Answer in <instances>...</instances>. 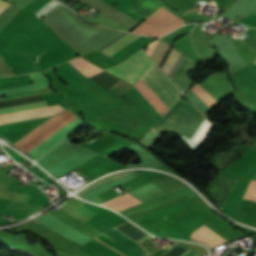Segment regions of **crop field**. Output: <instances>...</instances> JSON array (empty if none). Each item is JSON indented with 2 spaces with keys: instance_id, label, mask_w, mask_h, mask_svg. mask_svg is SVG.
<instances>
[{
  "instance_id": "8a807250",
  "label": "crop field",
  "mask_w": 256,
  "mask_h": 256,
  "mask_svg": "<svg viewBox=\"0 0 256 256\" xmlns=\"http://www.w3.org/2000/svg\"><path fill=\"white\" fill-rule=\"evenodd\" d=\"M183 104L178 101L154 126L156 129H160L164 123L177 111V109ZM206 117L195 108V106L185 103L173 117L160 129L162 132L176 131L182 133L188 139L195 136L202 124L205 122ZM212 125L206 120L201 129L198 131L193 141L201 143L205 135L209 131Z\"/></svg>"
},
{
  "instance_id": "ac0d7876",
  "label": "crop field",
  "mask_w": 256,
  "mask_h": 256,
  "mask_svg": "<svg viewBox=\"0 0 256 256\" xmlns=\"http://www.w3.org/2000/svg\"><path fill=\"white\" fill-rule=\"evenodd\" d=\"M149 70L155 75V77L164 85V87L178 100L182 94L174 87V85L161 73V71L152 63ZM146 70L142 76V80L146 85L155 93V95L164 103L169 109L176 100L171 94L162 86V84L153 76V74ZM135 85L139 92L148 100V102L157 110L162 116L168 110L163 103L154 95V93L145 85L142 80Z\"/></svg>"
},
{
  "instance_id": "34b2d1b8",
  "label": "crop field",
  "mask_w": 256,
  "mask_h": 256,
  "mask_svg": "<svg viewBox=\"0 0 256 256\" xmlns=\"http://www.w3.org/2000/svg\"><path fill=\"white\" fill-rule=\"evenodd\" d=\"M179 56H180V53H178L176 50L172 49L169 57L167 58L164 66L162 68L167 76H168L169 72L171 71L172 67L174 66V64L176 63ZM184 57L185 56L181 55L180 58L178 59L177 63L175 64L174 68L172 69L171 73L168 76L170 79L173 76V74L175 73V71L177 70L178 66L180 65V63L182 62ZM196 65H198V64L185 57V59L183 60V62L179 66L178 70L176 71V73L174 74V76L171 79L172 83L183 94L186 92V90L192 84L186 78Z\"/></svg>"
},
{
  "instance_id": "412701ff",
  "label": "crop field",
  "mask_w": 256,
  "mask_h": 256,
  "mask_svg": "<svg viewBox=\"0 0 256 256\" xmlns=\"http://www.w3.org/2000/svg\"><path fill=\"white\" fill-rule=\"evenodd\" d=\"M151 62L147 55L140 50L122 64L105 70L134 85Z\"/></svg>"
},
{
  "instance_id": "f4fd0767",
  "label": "crop field",
  "mask_w": 256,
  "mask_h": 256,
  "mask_svg": "<svg viewBox=\"0 0 256 256\" xmlns=\"http://www.w3.org/2000/svg\"><path fill=\"white\" fill-rule=\"evenodd\" d=\"M143 118L129 103L97 119L130 129Z\"/></svg>"
},
{
  "instance_id": "dd49c442",
  "label": "crop field",
  "mask_w": 256,
  "mask_h": 256,
  "mask_svg": "<svg viewBox=\"0 0 256 256\" xmlns=\"http://www.w3.org/2000/svg\"><path fill=\"white\" fill-rule=\"evenodd\" d=\"M75 117H77V116H75L70 111L67 112L65 115L60 117L58 120L53 122L51 125H49L45 129H43L41 132L36 134L34 137L29 139L27 142L22 144L19 148L28 153L33 148H35L37 145H39L41 142H43L45 139H47L49 136H51L53 133H55L57 130H59L64 125H66L68 122L73 120Z\"/></svg>"
},
{
  "instance_id": "e52e79f7",
  "label": "crop field",
  "mask_w": 256,
  "mask_h": 256,
  "mask_svg": "<svg viewBox=\"0 0 256 256\" xmlns=\"http://www.w3.org/2000/svg\"><path fill=\"white\" fill-rule=\"evenodd\" d=\"M59 105L46 106L29 111L0 115V124L50 116L64 110V107L62 108Z\"/></svg>"
},
{
  "instance_id": "d8731c3e",
  "label": "crop field",
  "mask_w": 256,
  "mask_h": 256,
  "mask_svg": "<svg viewBox=\"0 0 256 256\" xmlns=\"http://www.w3.org/2000/svg\"><path fill=\"white\" fill-rule=\"evenodd\" d=\"M100 234L122 245L123 247L129 249L130 251L136 253L139 256H147L149 254V252L143 249L137 242L133 241L131 238L126 236L124 233H122L115 227L107 231H103Z\"/></svg>"
},
{
  "instance_id": "5a996713",
  "label": "crop field",
  "mask_w": 256,
  "mask_h": 256,
  "mask_svg": "<svg viewBox=\"0 0 256 256\" xmlns=\"http://www.w3.org/2000/svg\"><path fill=\"white\" fill-rule=\"evenodd\" d=\"M191 238L201 241L209 245L211 248L223 242H226L205 225L201 226L198 230L194 231L191 235Z\"/></svg>"
},
{
  "instance_id": "3316defc",
  "label": "crop field",
  "mask_w": 256,
  "mask_h": 256,
  "mask_svg": "<svg viewBox=\"0 0 256 256\" xmlns=\"http://www.w3.org/2000/svg\"><path fill=\"white\" fill-rule=\"evenodd\" d=\"M160 6L153 0H137L129 10L145 19Z\"/></svg>"
},
{
  "instance_id": "28ad6ade",
  "label": "crop field",
  "mask_w": 256,
  "mask_h": 256,
  "mask_svg": "<svg viewBox=\"0 0 256 256\" xmlns=\"http://www.w3.org/2000/svg\"><path fill=\"white\" fill-rule=\"evenodd\" d=\"M124 35H125V33L121 34L119 37H117L116 39L111 41L109 44L104 46L102 49H104L105 47H107L108 45H110L111 43H113L114 41H116L117 39H119L120 37H122ZM138 37L139 36L127 34L124 37H122L121 39H119L116 42H114L113 44H111L110 46H108L107 48H105L104 50H102V49L101 50L104 51L105 53H107L108 55L112 56L116 52L121 50L123 47H125L127 44H129L133 40L137 39Z\"/></svg>"
},
{
  "instance_id": "d1516ede",
  "label": "crop field",
  "mask_w": 256,
  "mask_h": 256,
  "mask_svg": "<svg viewBox=\"0 0 256 256\" xmlns=\"http://www.w3.org/2000/svg\"><path fill=\"white\" fill-rule=\"evenodd\" d=\"M157 41H158V40H157ZM157 41L154 42L153 44H151V46H150L149 49L147 50L146 53H147L149 56H150V54H151L153 48L155 47ZM169 46H170V44H168V43H166V42H164V41H162V40L159 39V41H158L156 47L154 48V50H153V52H152V54H151V56H150V57L155 61V63H156L158 66H160V64H161V62H162V60H163V58H164V56H165V54H166V52H167Z\"/></svg>"
},
{
  "instance_id": "22f410ed",
  "label": "crop field",
  "mask_w": 256,
  "mask_h": 256,
  "mask_svg": "<svg viewBox=\"0 0 256 256\" xmlns=\"http://www.w3.org/2000/svg\"><path fill=\"white\" fill-rule=\"evenodd\" d=\"M131 172H133V171L119 172V173L113 174V175H111L107 178L101 179V180L89 185L84 190L79 192L77 195L80 196V197L83 196V195H86V194H88V193H90V192H92V191H94V190H96V189H98V188H100V187H102L106 184H109V183H111V182H113V181L131 173Z\"/></svg>"
},
{
  "instance_id": "cbeb9de0",
  "label": "crop field",
  "mask_w": 256,
  "mask_h": 256,
  "mask_svg": "<svg viewBox=\"0 0 256 256\" xmlns=\"http://www.w3.org/2000/svg\"><path fill=\"white\" fill-rule=\"evenodd\" d=\"M71 65H73L80 73H82L85 77L101 70L97 66L91 64L90 62L86 61L85 59L78 57L69 61Z\"/></svg>"
},
{
  "instance_id": "5142ce71",
  "label": "crop field",
  "mask_w": 256,
  "mask_h": 256,
  "mask_svg": "<svg viewBox=\"0 0 256 256\" xmlns=\"http://www.w3.org/2000/svg\"><path fill=\"white\" fill-rule=\"evenodd\" d=\"M46 105H49L47 100L33 102V103H27V104H21V105H16V106H10V107H4V108H0V114L29 110V109L46 106Z\"/></svg>"
},
{
  "instance_id": "d9b57169",
  "label": "crop field",
  "mask_w": 256,
  "mask_h": 256,
  "mask_svg": "<svg viewBox=\"0 0 256 256\" xmlns=\"http://www.w3.org/2000/svg\"><path fill=\"white\" fill-rule=\"evenodd\" d=\"M13 201H10V203L8 204L9 207H14V208H18V209L28 210V211H32V212H37V211H39L41 209L40 207H42V206L36 207L37 205L36 206H31L33 204L26 205V204H22L23 202L22 203H17L19 201H17V202H13ZM9 207H7V208L8 209H12V210H17V211L33 214L32 212H27V211H23V210L13 209V208H9Z\"/></svg>"
},
{
  "instance_id": "733c2abd",
  "label": "crop field",
  "mask_w": 256,
  "mask_h": 256,
  "mask_svg": "<svg viewBox=\"0 0 256 256\" xmlns=\"http://www.w3.org/2000/svg\"><path fill=\"white\" fill-rule=\"evenodd\" d=\"M199 97H201L209 106L216 102L201 86L196 84L192 89Z\"/></svg>"
},
{
  "instance_id": "4a817a6b",
  "label": "crop field",
  "mask_w": 256,
  "mask_h": 256,
  "mask_svg": "<svg viewBox=\"0 0 256 256\" xmlns=\"http://www.w3.org/2000/svg\"><path fill=\"white\" fill-rule=\"evenodd\" d=\"M244 199H248L251 201L256 202V182L252 181L245 196Z\"/></svg>"
},
{
  "instance_id": "bc2a9ffb",
  "label": "crop field",
  "mask_w": 256,
  "mask_h": 256,
  "mask_svg": "<svg viewBox=\"0 0 256 256\" xmlns=\"http://www.w3.org/2000/svg\"><path fill=\"white\" fill-rule=\"evenodd\" d=\"M196 253L192 252V251H188L187 253H185L183 256H194Z\"/></svg>"
},
{
  "instance_id": "214f88e0",
  "label": "crop field",
  "mask_w": 256,
  "mask_h": 256,
  "mask_svg": "<svg viewBox=\"0 0 256 256\" xmlns=\"http://www.w3.org/2000/svg\"><path fill=\"white\" fill-rule=\"evenodd\" d=\"M253 179L256 180V174H255V176L253 177Z\"/></svg>"
},
{
  "instance_id": "92a150f3",
  "label": "crop field",
  "mask_w": 256,
  "mask_h": 256,
  "mask_svg": "<svg viewBox=\"0 0 256 256\" xmlns=\"http://www.w3.org/2000/svg\"><path fill=\"white\" fill-rule=\"evenodd\" d=\"M100 72H102V71H100ZM100 72H98V73H100ZM97 74V73H96ZM93 75H95V74H93ZM92 76V75H91ZM90 77V76H89Z\"/></svg>"
},
{
  "instance_id": "dafd665d",
  "label": "crop field",
  "mask_w": 256,
  "mask_h": 256,
  "mask_svg": "<svg viewBox=\"0 0 256 256\" xmlns=\"http://www.w3.org/2000/svg\"><path fill=\"white\" fill-rule=\"evenodd\" d=\"M161 7H162V6H161ZM161 7H160V8H161ZM157 10H158V9H157ZM157 10H156V11H157ZM146 19H147V18H146ZM146 19H145V20H146ZM145 20H144V21H145Z\"/></svg>"
},
{
  "instance_id": "00972430",
  "label": "crop field",
  "mask_w": 256,
  "mask_h": 256,
  "mask_svg": "<svg viewBox=\"0 0 256 256\" xmlns=\"http://www.w3.org/2000/svg\"><path fill=\"white\" fill-rule=\"evenodd\" d=\"M253 63H255V64H256V60H255Z\"/></svg>"
},
{
  "instance_id": "a9b5d70f",
  "label": "crop field",
  "mask_w": 256,
  "mask_h": 256,
  "mask_svg": "<svg viewBox=\"0 0 256 256\" xmlns=\"http://www.w3.org/2000/svg\"><path fill=\"white\" fill-rule=\"evenodd\" d=\"M1 13V12H0Z\"/></svg>"
}]
</instances>
